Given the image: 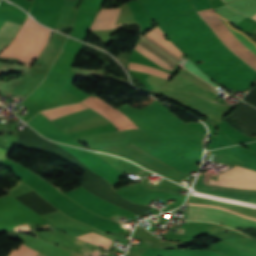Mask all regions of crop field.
<instances>
[{
	"label": "crop field",
	"instance_id": "1",
	"mask_svg": "<svg viewBox=\"0 0 256 256\" xmlns=\"http://www.w3.org/2000/svg\"><path fill=\"white\" fill-rule=\"evenodd\" d=\"M214 30L219 39L249 66L256 70V43L231 25L212 9L197 11Z\"/></svg>",
	"mask_w": 256,
	"mask_h": 256
},
{
	"label": "crop field",
	"instance_id": "2",
	"mask_svg": "<svg viewBox=\"0 0 256 256\" xmlns=\"http://www.w3.org/2000/svg\"><path fill=\"white\" fill-rule=\"evenodd\" d=\"M187 220L223 223L232 228H256V222L238 215L207 207L189 206Z\"/></svg>",
	"mask_w": 256,
	"mask_h": 256
},
{
	"label": "crop field",
	"instance_id": "3",
	"mask_svg": "<svg viewBox=\"0 0 256 256\" xmlns=\"http://www.w3.org/2000/svg\"><path fill=\"white\" fill-rule=\"evenodd\" d=\"M97 113L105 116L110 122H112L119 130L137 128L126 116H124L117 109H113L100 99L96 97H90L81 102Z\"/></svg>",
	"mask_w": 256,
	"mask_h": 256
},
{
	"label": "crop field",
	"instance_id": "4",
	"mask_svg": "<svg viewBox=\"0 0 256 256\" xmlns=\"http://www.w3.org/2000/svg\"><path fill=\"white\" fill-rule=\"evenodd\" d=\"M225 173L232 174V175L256 182V171H252V170L234 165L231 169L225 171ZM225 173L218 176L217 183L232 186V187H237V188L256 190L255 182L248 181V180L238 178L232 175H228Z\"/></svg>",
	"mask_w": 256,
	"mask_h": 256
},
{
	"label": "crop field",
	"instance_id": "5",
	"mask_svg": "<svg viewBox=\"0 0 256 256\" xmlns=\"http://www.w3.org/2000/svg\"><path fill=\"white\" fill-rule=\"evenodd\" d=\"M147 35L151 36L153 39H155L156 41H158L159 43H161L163 46H165L166 48H168L170 51H172L173 53H175L177 56L182 55L183 53L176 48L171 42L164 40V34L162 33V31L159 29V27H155L153 28V30L149 31L148 33H146ZM145 35L144 38L145 40H147L149 43L153 44L154 46H156L157 48H159L160 50H162L163 52L167 53L168 55H170L171 57H173L178 63H180L181 60L179 57H177L176 55H174L172 52H170L168 49H166L165 47H163L161 44L157 43L156 41H154L152 38H150L149 36Z\"/></svg>",
	"mask_w": 256,
	"mask_h": 256
},
{
	"label": "crop field",
	"instance_id": "6",
	"mask_svg": "<svg viewBox=\"0 0 256 256\" xmlns=\"http://www.w3.org/2000/svg\"><path fill=\"white\" fill-rule=\"evenodd\" d=\"M142 46H144L145 48H147L149 51H151L152 53H154L155 55H157L158 57H160L161 59H163L165 62H167L168 64H170L171 66L174 67L175 62L167 57L166 55H164L162 52H160L159 50H157L156 48H154L153 46H151L149 43H147L145 40H141L140 43ZM141 45H138L137 48L135 50H137L138 52H140L141 54H143L144 56H146L147 58H149L150 60H152L153 62H155L156 64H158L159 66L163 67L164 69H166L167 71L170 72V70L173 68L170 65H168L167 63H165L163 60H161L160 58H158L157 56H155L154 54H152L151 52H149L148 50H146L144 47H142ZM162 68V69H163Z\"/></svg>",
	"mask_w": 256,
	"mask_h": 256
},
{
	"label": "crop field",
	"instance_id": "7",
	"mask_svg": "<svg viewBox=\"0 0 256 256\" xmlns=\"http://www.w3.org/2000/svg\"><path fill=\"white\" fill-rule=\"evenodd\" d=\"M20 25L6 20L0 28V51L10 42Z\"/></svg>",
	"mask_w": 256,
	"mask_h": 256
},
{
	"label": "crop field",
	"instance_id": "8",
	"mask_svg": "<svg viewBox=\"0 0 256 256\" xmlns=\"http://www.w3.org/2000/svg\"><path fill=\"white\" fill-rule=\"evenodd\" d=\"M61 48V45L54 44L49 42L45 50L40 55L37 64H42L45 66L50 67V65L53 63L56 55L58 54L59 50Z\"/></svg>",
	"mask_w": 256,
	"mask_h": 256
},
{
	"label": "crop field",
	"instance_id": "9",
	"mask_svg": "<svg viewBox=\"0 0 256 256\" xmlns=\"http://www.w3.org/2000/svg\"><path fill=\"white\" fill-rule=\"evenodd\" d=\"M79 239H82L84 241H87L91 244L98 245L106 250V248L113 242V240L108 239L106 237H103L99 234H96L94 232L85 234L83 236L77 237Z\"/></svg>",
	"mask_w": 256,
	"mask_h": 256
},
{
	"label": "crop field",
	"instance_id": "10",
	"mask_svg": "<svg viewBox=\"0 0 256 256\" xmlns=\"http://www.w3.org/2000/svg\"><path fill=\"white\" fill-rule=\"evenodd\" d=\"M128 69L149 73V74H152V75H155V76L167 79V80H169V78H170V76H168V75H166V74H164V73H162V72H160V71H158L154 68L139 65V64H135V63H131V62H129Z\"/></svg>",
	"mask_w": 256,
	"mask_h": 256
},
{
	"label": "crop field",
	"instance_id": "11",
	"mask_svg": "<svg viewBox=\"0 0 256 256\" xmlns=\"http://www.w3.org/2000/svg\"><path fill=\"white\" fill-rule=\"evenodd\" d=\"M194 195H196V196H201V197H206V198H211V199H216V200H222V201L232 202V203H235V204H238V205H244V206H250V207H255V208H256V206H253V205L238 203V202H234V201H230V200H226V199H222V198H218V197L207 196V195H202V194H198V193H194ZM188 205H199V206L216 207V208H220V209H223V210H227V211L236 213V214H238V215H241V216H244V217H246V218H249V219H252V220H255V221H256V218H253V217H250V216H246V215L240 214V213H238V212H235V211H232V210H229V209H227V208L220 207V206H217V205L196 204V203H189Z\"/></svg>",
	"mask_w": 256,
	"mask_h": 256
},
{
	"label": "crop field",
	"instance_id": "12",
	"mask_svg": "<svg viewBox=\"0 0 256 256\" xmlns=\"http://www.w3.org/2000/svg\"><path fill=\"white\" fill-rule=\"evenodd\" d=\"M37 252L27 248L23 244L20 245L17 251H12L8 256H36Z\"/></svg>",
	"mask_w": 256,
	"mask_h": 256
},
{
	"label": "crop field",
	"instance_id": "13",
	"mask_svg": "<svg viewBox=\"0 0 256 256\" xmlns=\"http://www.w3.org/2000/svg\"><path fill=\"white\" fill-rule=\"evenodd\" d=\"M184 67L188 70H190L191 72H193L194 74L198 75L199 77H201L202 79L206 80L207 82H209L213 87H217V85H215L213 82H211L209 80V78L207 76H205L197 67H195L189 60L187 61V63L184 65Z\"/></svg>",
	"mask_w": 256,
	"mask_h": 256
},
{
	"label": "crop field",
	"instance_id": "14",
	"mask_svg": "<svg viewBox=\"0 0 256 256\" xmlns=\"http://www.w3.org/2000/svg\"><path fill=\"white\" fill-rule=\"evenodd\" d=\"M9 154V151L0 148V165Z\"/></svg>",
	"mask_w": 256,
	"mask_h": 256
},
{
	"label": "crop field",
	"instance_id": "15",
	"mask_svg": "<svg viewBox=\"0 0 256 256\" xmlns=\"http://www.w3.org/2000/svg\"><path fill=\"white\" fill-rule=\"evenodd\" d=\"M225 3H227V2H230V1H232V0H223Z\"/></svg>",
	"mask_w": 256,
	"mask_h": 256
},
{
	"label": "crop field",
	"instance_id": "16",
	"mask_svg": "<svg viewBox=\"0 0 256 256\" xmlns=\"http://www.w3.org/2000/svg\"><path fill=\"white\" fill-rule=\"evenodd\" d=\"M76 104H79V103H76ZM76 104H72V105H76ZM68 106H70V105H68ZM60 108V107H59ZM56 109V108H55ZM52 110V109H51ZM48 111V110H47ZM44 112V111H43ZM40 113H42V112H40Z\"/></svg>",
	"mask_w": 256,
	"mask_h": 256
},
{
	"label": "crop field",
	"instance_id": "17",
	"mask_svg": "<svg viewBox=\"0 0 256 256\" xmlns=\"http://www.w3.org/2000/svg\"><path fill=\"white\" fill-rule=\"evenodd\" d=\"M38 256H44V255H42V254L39 253Z\"/></svg>",
	"mask_w": 256,
	"mask_h": 256
},
{
	"label": "crop field",
	"instance_id": "18",
	"mask_svg": "<svg viewBox=\"0 0 256 256\" xmlns=\"http://www.w3.org/2000/svg\"><path fill=\"white\" fill-rule=\"evenodd\" d=\"M252 18H256V15H255V16H253Z\"/></svg>",
	"mask_w": 256,
	"mask_h": 256
}]
</instances>
